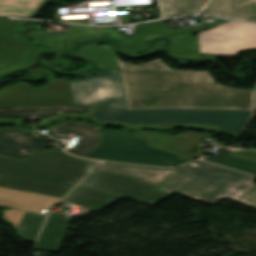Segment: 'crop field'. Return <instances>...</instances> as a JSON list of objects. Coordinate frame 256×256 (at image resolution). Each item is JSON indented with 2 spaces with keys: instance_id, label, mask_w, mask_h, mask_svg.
<instances>
[{
  "instance_id": "1",
  "label": "crop field",
  "mask_w": 256,
  "mask_h": 256,
  "mask_svg": "<svg viewBox=\"0 0 256 256\" xmlns=\"http://www.w3.org/2000/svg\"><path fill=\"white\" fill-rule=\"evenodd\" d=\"M128 109H252L254 91L214 82L209 72L170 70L160 60L133 65L117 59Z\"/></svg>"
},
{
  "instance_id": "2",
  "label": "crop field",
  "mask_w": 256,
  "mask_h": 256,
  "mask_svg": "<svg viewBox=\"0 0 256 256\" xmlns=\"http://www.w3.org/2000/svg\"><path fill=\"white\" fill-rule=\"evenodd\" d=\"M96 168L138 177L207 203L233 198L256 207L254 177L201 161L178 169L113 163H101Z\"/></svg>"
},
{
  "instance_id": "3",
  "label": "crop field",
  "mask_w": 256,
  "mask_h": 256,
  "mask_svg": "<svg viewBox=\"0 0 256 256\" xmlns=\"http://www.w3.org/2000/svg\"><path fill=\"white\" fill-rule=\"evenodd\" d=\"M95 164L63 152L30 151L25 159L0 156V185L62 198Z\"/></svg>"
},
{
  "instance_id": "4",
  "label": "crop field",
  "mask_w": 256,
  "mask_h": 256,
  "mask_svg": "<svg viewBox=\"0 0 256 256\" xmlns=\"http://www.w3.org/2000/svg\"><path fill=\"white\" fill-rule=\"evenodd\" d=\"M251 113L252 111L100 109L95 119L103 124L133 128L169 130L173 127H185L203 131H222L238 136Z\"/></svg>"
},
{
  "instance_id": "5",
  "label": "crop field",
  "mask_w": 256,
  "mask_h": 256,
  "mask_svg": "<svg viewBox=\"0 0 256 256\" xmlns=\"http://www.w3.org/2000/svg\"><path fill=\"white\" fill-rule=\"evenodd\" d=\"M85 158L166 167L184 163L178 155L149 147L137 134L120 130L104 131L101 143Z\"/></svg>"
},
{
  "instance_id": "6",
  "label": "crop field",
  "mask_w": 256,
  "mask_h": 256,
  "mask_svg": "<svg viewBox=\"0 0 256 256\" xmlns=\"http://www.w3.org/2000/svg\"><path fill=\"white\" fill-rule=\"evenodd\" d=\"M108 72L109 75L70 82L74 105L127 109L120 70Z\"/></svg>"
},
{
  "instance_id": "7",
  "label": "crop field",
  "mask_w": 256,
  "mask_h": 256,
  "mask_svg": "<svg viewBox=\"0 0 256 256\" xmlns=\"http://www.w3.org/2000/svg\"><path fill=\"white\" fill-rule=\"evenodd\" d=\"M80 186L89 187L148 203H156L173 191L140 181L137 178L94 169Z\"/></svg>"
},
{
  "instance_id": "8",
  "label": "crop field",
  "mask_w": 256,
  "mask_h": 256,
  "mask_svg": "<svg viewBox=\"0 0 256 256\" xmlns=\"http://www.w3.org/2000/svg\"><path fill=\"white\" fill-rule=\"evenodd\" d=\"M256 48V26L228 22L200 33V53L235 55L239 50Z\"/></svg>"
},
{
  "instance_id": "9",
  "label": "crop field",
  "mask_w": 256,
  "mask_h": 256,
  "mask_svg": "<svg viewBox=\"0 0 256 256\" xmlns=\"http://www.w3.org/2000/svg\"><path fill=\"white\" fill-rule=\"evenodd\" d=\"M200 29L183 28L168 29L164 28L162 22L137 25L134 31L128 53L137 55L140 45L148 34H158L169 38L172 41L171 53L175 56H188L199 53V35L192 37L191 34Z\"/></svg>"
},
{
  "instance_id": "10",
  "label": "crop field",
  "mask_w": 256,
  "mask_h": 256,
  "mask_svg": "<svg viewBox=\"0 0 256 256\" xmlns=\"http://www.w3.org/2000/svg\"><path fill=\"white\" fill-rule=\"evenodd\" d=\"M93 107H0V123H21V120H40L42 124L60 117H87Z\"/></svg>"
},
{
  "instance_id": "11",
  "label": "crop field",
  "mask_w": 256,
  "mask_h": 256,
  "mask_svg": "<svg viewBox=\"0 0 256 256\" xmlns=\"http://www.w3.org/2000/svg\"><path fill=\"white\" fill-rule=\"evenodd\" d=\"M50 138L22 129H0V155L25 158L30 150L46 151Z\"/></svg>"
},
{
  "instance_id": "12",
  "label": "crop field",
  "mask_w": 256,
  "mask_h": 256,
  "mask_svg": "<svg viewBox=\"0 0 256 256\" xmlns=\"http://www.w3.org/2000/svg\"><path fill=\"white\" fill-rule=\"evenodd\" d=\"M0 106H70L68 90H25L0 93Z\"/></svg>"
},
{
  "instance_id": "13",
  "label": "crop field",
  "mask_w": 256,
  "mask_h": 256,
  "mask_svg": "<svg viewBox=\"0 0 256 256\" xmlns=\"http://www.w3.org/2000/svg\"><path fill=\"white\" fill-rule=\"evenodd\" d=\"M21 23L0 20V56L31 60L37 49L18 36Z\"/></svg>"
},
{
  "instance_id": "14",
  "label": "crop field",
  "mask_w": 256,
  "mask_h": 256,
  "mask_svg": "<svg viewBox=\"0 0 256 256\" xmlns=\"http://www.w3.org/2000/svg\"><path fill=\"white\" fill-rule=\"evenodd\" d=\"M201 13L256 23V0H211Z\"/></svg>"
},
{
  "instance_id": "15",
  "label": "crop field",
  "mask_w": 256,
  "mask_h": 256,
  "mask_svg": "<svg viewBox=\"0 0 256 256\" xmlns=\"http://www.w3.org/2000/svg\"><path fill=\"white\" fill-rule=\"evenodd\" d=\"M147 134L155 139V144L159 147L179 154L186 162L191 161L200 155L193 154L195 146L204 138H212V135L200 134L188 131L178 139L173 136H162L148 131Z\"/></svg>"
},
{
  "instance_id": "16",
  "label": "crop field",
  "mask_w": 256,
  "mask_h": 256,
  "mask_svg": "<svg viewBox=\"0 0 256 256\" xmlns=\"http://www.w3.org/2000/svg\"><path fill=\"white\" fill-rule=\"evenodd\" d=\"M47 130L59 134L68 133L80 136L78 139L80 143L78 145L75 144L68 152L79 157H84L100 143V133H98L97 127H90L78 123H65L62 126L49 127Z\"/></svg>"
},
{
  "instance_id": "17",
  "label": "crop field",
  "mask_w": 256,
  "mask_h": 256,
  "mask_svg": "<svg viewBox=\"0 0 256 256\" xmlns=\"http://www.w3.org/2000/svg\"><path fill=\"white\" fill-rule=\"evenodd\" d=\"M69 222L66 215L51 213L35 249L59 253Z\"/></svg>"
},
{
  "instance_id": "18",
  "label": "crop field",
  "mask_w": 256,
  "mask_h": 256,
  "mask_svg": "<svg viewBox=\"0 0 256 256\" xmlns=\"http://www.w3.org/2000/svg\"><path fill=\"white\" fill-rule=\"evenodd\" d=\"M3 218L15 227L22 239L34 241L46 216L19 209H5Z\"/></svg>"
},
{
  "instance_id": "19",
  "label": "crop field",
  "mask_w": 256,
  "mask_h": 256,
  "mask_svg": "<svg viewBox=\"0 0 256 256\" xmlns=\"http://www.w3.org/2000/svg\"><path fill=\"white\" fill-rule=\"evenodd\" d=\"M119 198L121 196L77 186L64 201L99 210Z\"/></svg>"
},
{
  "instance_id": "20",
  "label": "crop field",
  "mask_w": 256,
  "mask_h": 256,
  "mask_svg": "<svg viewBox=\"0 0 256 256\" xmlns=\"http://www.w3.org/2000/svg\"><path fill=\"white\" fill-rule=\"evenodd\" d=\"M202 160L256 175V151L228 152Z\"/></svg>"
},
{
  "instance_id": "21",
  "label": "crop field",
  "mask_w": 256,
  "mask_h": 256,
  "mask_svg": "<svg viewBox=\"0 0 256 256\" xmlns=\"http://www.w3.org/2000/svg\"><path fill=\"white\" fill-rule=\"evenodd\" d=\"M58 198L0 186V200L47 210Z\"/></svg>"
},
{
  "instance_id": "22",
  "label": "crop field",
  "mask_w": 256,
  "mask_h": 256,
  "mask_svg": "<svg viewBox=\"0 0 256 256\" xmlns=\"http://www.w3.org/2000/svg\"><path fill=\"white\" fill-rule=\"evenodd\" d=\"M207 0H160L164 17L189 16L198 12Z\"/></svg>"
},
{
  "instance_id": "23",
  "label": "crop field",
  "mask_w": 256,
  "mask_h": 256,
  "mask_svg": "<svg viewBox=\"0 0 256 256\" xmlns=\"http://www.w3.org/2000/svg\"><path fill=\"white\" fill-rule=\"evenodd\" d=\"M79 56L94 60L99 68H118L115 53L108 46L88 45L76 52Z\"/></svg>"
},
{
  "instance_id": "24",
  "label": "crop field",
  "mask_w": 256,
  "mask_h": 256,
  "mask_svg": "<svg viewBox=\"0 0 256 256\" xmlns=\"http://www.w3.org/2000/svg\"><path fill=\"white\" fill-rule=\"evenodd\" d=\"M44 0H0V15L29 17Z\"/></svg>"
},
{
  "instance_id": "25",
  "label": "crop field",
  "mask_w": 256,
  "mask_h": 256,
  "mask_svg": "<svg viewBox=\"0 0 256 256\" xmlns=\"http://www.w3.org/2000/svg\"><path fill=\"white\" fill-rule=\"evenodd\" d=\"M24 89H33V88H31L23 83H17L15 85L9 86L7 88L1 89L0 92L7 91V90H24ZM43 89H69L70 102H71V106H73L69 81L54 80L50 85H45Z\"/></svg>"
},
{
  "instance_id": "26",
  "label": "crop field",
  "mask_w": 256,
  "mask_h": 256,
  "mask_svg": "<svg viewBox=\"0 0 256 256\" xmlns=\"http://www.w3.org/2000/svg\"><path fill=\"white\" fill-rule=\"evenodd\" d=\"M30 63H32V61H24V60L0 57V74L12 69L26 66Z\"/></svg>"
},
{
  "instance_id": "27",
  "label": "crop field",
  "mask_w": 256,
  "mask_h": 256,
  "mask_svg": "<svg viewBox=\"0 0 256 256\" xmlns=\"http://www.w3.org/2000/svg\"><path fill=\"white\" fill-rule=\"evenodd\" d=\"M58 200H60V198H59ZM58 200H57V201H58ZM57 201H56V202H57ZM56 202H55V203H56ZM55 203H54V204H55ZM54 204H53V205H54ZM0 205H4V206H8V207H14V208H20V209H24V210H28V211H32V212L44 214V215H47V214H45V213L48 212V210L53 206V205H52L47 211H44V210H40V209H35V208H29V207H24V206L9 204V203H5V202H1V201H0Z\"/></svg>"
},
{
  "instance_id": "28",
  "label": "crop field",
  "mask_w": 256,
  "mask_h": 256,
  "mask_svg": "<svg viewBox=\"0 0 256 256\" xmlns=\"http://www.w3.org/2000/svg\"><path fill=\"white\" fill-rule=\"evenodd\" d=\"M41 71L47 72V73L50 72V71H48V70H46V69H44V68H39V69H37V70L32 71L33 78H35V79L43 78V77H42V74H41Z\"/></svg>"
},
{
  "instance_id": "29",
  "label": "crop field",
  "mask_w": 256,
  "mask_h": 256,
  "mask_svg": "<svg viewBox=\"0 0 256 256\" xmlns=\"http://www.w3.org/2000/svg\"><path fill=\"white\" fill-rule=\"evenodd\" d=\"M85 160H86V159H85ZM88 161L93 162V163H95V164L99 163V161H93V160H88Z\"/></svg>"
}]
</instances>
